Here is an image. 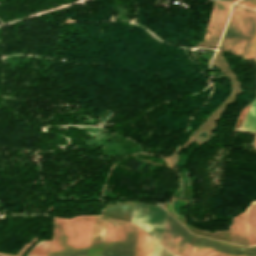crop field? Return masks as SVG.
<instances>
[{
  "instance_id": "8a807250",
  "label": "crop field",
  "mask_w": 256,
  "mask_h": 256,
  "mask_svg": "<svg viewBox=\"0 0 256 256\" xmlns=\"http://www.w3.org/2000/svg\"><path fill=\"white\" fill-rule=\"evenodd\" d=\"M95 216L55 218L49 256H86Z\"/></svg>"
},
{
  "instance_id": "ac0d7876",
  "label": "crop field",
  "mask_w": 256,
  "mask_h": 256,
  "mask_svg": "<svg viewBox=\"0 0 256 256\" xmlns=\"http://www.w3.org/2000/svg\"><path fill=\"white\" fill-rule=\"evenodd\" d=\"M255 23L256 12L234 4L219 49L247 58Z\"/></svg>"
},
{
  "instance_id": "34b2d1b8",
  "label": "crop field",
  "mask_w": 256,
  "mask_h": 256,
  "mask_svg": "<svg viewBox=\"0 0 256 256\" xmlns=\"http://www.w3.org/2000/svg\"><path fill=\"white\" fill-rule=\"evenodd\" d=\"M138 230L136 225L109 218L100 256H133Z\"/></svg>"
},
{
  "instance_id": "412701ff",
  "label": "crop field",
  "mask_w": 256,
  "mask_h": 256,
  "mask_svg": "<svg viewBox=\"0 0 256 256\" xmlns=\"http://www.w3.org/2000/svg\"><path fill=\"white\" fill-rule=\"evenodd\" d=\"M191 256H256V247L246 248L196 236Z\"/></svg>"
},
{
  "instance_id": "f4fd0767",
  "label": "crop field",
  "mask_w": 256,
  "mask_h": 256,
  "mask_svg": "<svg viewBox=\"0 0 256 256\" xmlns=\"http://www.w3.org/2000/svg\"><path fill=\"white\" fill-rule=\"evenodd\" d=\"M194 237L168 214L160 241L161 244L176 255L190 256Z\"/></svg>"
},
{
  "instance_id": "dd49c442",
  "label": "crop field",
  "mask_w": 256,
  "mask_h": 256,
  "mask_svg": "<svg viewBox=\"0 0 256 256\" xmlns=\"http://www.w3.org/2000/svg\"><path fill=\"white\" fill-rule=\"evenodd\" d=\"M230 3L214 1L212 13L207 27L204 40L219 41L225 22L227 20L230 8Z\"/></svg>"
},
{
  "instance_id": "e52e79f7",
  "label": "crop field",
  "mask_w": 256,
  "mask_h": 256,
  "mask_svg": "<svg viewBox=\"0 0 256 256\" xmlns=\"http://www.w3.org/2000/svg\"><path fill=\"white\" fill-rule=\"evenodd\" d=\"M230 236L231 241L247 245L244 213L233 218Z\"/></svg>"
},
{
  "instance_id": "d8731c3e",
  "label": "crop field",
  "mask_w": 256,
  "mask_h": 256,
  "mask_svg": "<svg viewBox=\"0 0 256 256\" xmlns=\"http://www.w3.org/2000/svg\"><path fill=\"white\" fill-rule=\"evenodd\" d=\"M155 240L139 230L134 256H152Z\"/></svg>"
},
{
  "instance_id": "5a996713",
  "label": "crop field",
  "mask_w": 256,
  "mask_h": 256,
  "mask_svg": "<svg viewBox=\"0 0 256 256\" xmlns=\"http://www.w3.org/2000/svg\"><path fill=\"white\" fill-rule=\"evenodd\" d=\"M249 244H256V202L246 210Z\"/></svg>"
},
{
  "instance_id": "3316defc",
  "label": "crop field",
  "mask_w": 256,
  "mask_h": 256,
  "mask_svg": "<svg viewBox=\"0 0 256 256\" xmlns=\"http://www.w3.org/2000/svg\"><path fill=\"white\" fill-rule=\"evenodd\" d=\"M240 129L256 133V99L251 104V107Z\"/></svg>"
},
{
  "instance_id": "28ad6ade",
  "label": "crop field",
  "mask_w": 256,
  "mask_h": 256,
  "mask_svg": "<svg viewBox=\"0 0 256 256\" xmlns=\"http://www.w3.org/2000/svg\"><path fill=\"white\" fill-rule=\"evenodd\" d=\"M51 241H41L37 243L27 255H47Z\"/></svg>"
},
{
  "instance_id": "d1516ede",
  "label": "crop field",
  "mask_w": 256,
  "mask_h": 256,
  "mask_svg": "<svg viewBox=\"0 0 256 256\" xmlns=\"http://www.w3.org/2000/svg\"><path fill=\"white\" fill-rule=\"evenodd\" d=\"M153 256H174L164 247H162L159 243H155Z\"/></svg>"
},
{
  "instance_id": "22f410ed",
  "label": "crop field",
  "mask_w": 256,
  "mask_h": 256,
  "mask_svg": "<svg viewBox=\"0 0 256 256\" xmlns=\"http://www.w3.org/2000/svg\"><path fill=\"white\" fill-rule=\"evenodd\" d=\"M248 59L256 60V27Z\"/></svg>"
},
{
  "instance_id": "cbeb9de0",
  "label": "crop field",
  "mask_w": 256,
  "mask_h": 256,
  "mask_svg": "<svg viewBox=\"0 0 256 256\" xmlns=\"http://www.w3.org/2000/svg\"><path fill=\"white\" fill-rule=\"evenodd\" d=\"M236 3L256 10V0H240Z\"/></svg>"
},
{
  "instance_id": "5142ce71",
  "label": "crop field",
  "mask_w": 256,
  "mask_h": 256,
  "mask_svg": "<svg viewBox=\"0 0 256 256\" xmlns=\"http://www.w3.org/2000/svg\"><path fill=\"white\" fill-rule=\"evenodd\" d=\"M254 145H255V147H256V139H255V141H254Z\"/></svg>"
},
{
  "instance_id": "d9b57169",
  "label": "crop field",
  "mask_w": 256,
  "mask_h": 256,
  "mask_svg": "<svg viewBox=\"0 0 256 256\" xmlns=\"http://www.w3.org/2000/svg\"><path fill=\"white\" fill-rule=\"evenodd\" d=\"M235 1H237V0H233V2H235Z\"/></svg>"
}]
</instances>
